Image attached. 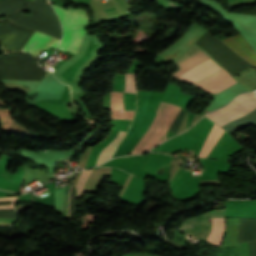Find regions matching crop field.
<instances>
[{
  "instance_id": "obj_1",
  "label": "crop field",
  "mask_w": 256,
  "mask_h": 256,
  "mask_svg": "<svg viewBox=\"0 0 256 256\" xmlns=\"http://www.w3.org/2000/svg\"><path fill=\"white\" fill-rule=\"evenodd\" d=\"M209 58L211 57L200 49L177 63L176 65L178 67V71L170 75L173 77H177ZM221 69L223 68L218 63H216L213 58H211L175 79H178L182 82L195 84L196 82L208 77L209 75ZM223 70L196 83L195 85L207 92L215 94L225 89L226 87L236 83L231 77L228 76L229 74L224 70L228 74L227 75Z\"/></svg>"
},
{
  "instance_id": "obj_2",
  "label": "crop field",
  "mask_w": 256,
  "mask_h": 256,
  "mask_svg": "<svg viewBox=\"0 0 256 256\" xmlns=\"http://www.w3.org/2000/svg\"><path fill=\"white\" fill-rule=\"evenodd\" d=\"M53 8L63 24V40L58 49L76 53L86 32L88 12L70 8L65 11L55 5Z\"/></svg>"
},
{
  "instance_id": "obj_3",
  "label": "crop field",
  "mask_w": 256,
  "mask_h": 256,
  "mask_svg": "<svg viewBox=\"0 0 256 256\" xmlns=\"http://www.w3.org/2000/svg\"><path fill=\"white\" fill-rule=\"evenodd\" d=\"M181 110V107L160 103L157 115L141 141L137 144L131 154L144 152L162 141L166 140V131Z\"/></svg>"
},
{
  "instance_id": "obj_4",
  "label": "crop field",
  "mask_w": 256,
  "mask_h": 256,
  "mask_svg": "<svg viewBox=\"0 0 256 256\" xmlns=\"http://www.w3.org/2000/svg\"><path fill=\"white\" fill-rule=\"evenodd\" d=\"M255 107V93L251 92L237 96L236 99L232 101L229 105L222 109L209 113L208 115H206V117L221 127L241 117Z\"/></svg>"
},
{
  "instance_id": "obj_5",
  "label": "crop field",
  "mask_w": 256,
  "mask_h": 256,
  "mask_svg": "<svg viewBox=\"0 0 256 256\" xmlns=\"http://www.w3.org/2000/svg\"><path fill=\"white\" fill-rule=\"evenodd\" d=\"M60 41L36 32L15 51H25L33 56L41 49L54 52Z\"/></svg>"
},
{
  "instance_id": "obj_6",
  "label": "crop field",
  "mask_w": 256,
  "mask_h": 256,
  "mask_svg": "<svg viewBox=\"0 0 256 256\" xmlns=\"http://www.w3.org/2000/svg\"><path fill=\"white\" fill-rule=\"evenodd\" d=\"M222 41H224L228 46H230L248 62L256 66V53L240 35L234 38L229 37Z\"/></svg>"
},
{
  "instance_id": "obj_7",
  "label": "crop field",
  "mask_w": 256,
  "mask_h": 256,
  "mask_svg": "<svg viewBox=\"0 0 256 256\" xmlns=\"http://www.w3.org/2000/svg\"><path fill=\"white\" fill-rule=\"evenodd\" d=\"M122 95L111 92L110 98V117L113 119H132L134 111H124Z\"/></svg>"
},
{
  "instance_id": "obj_8",
  "label": "crop field",
  "mask_w": 256,
  "mask_h": 256,
  "mask_svg": "<svg viewBox=\"0 0 256 256\" xmlns=\"http://www.w3.org/2000/svg\"><path fill=\"white\" fill-rule=\"evenodd\" d=\"M256 241V218H241L240 242Z\"/></svg>"
},
{
  "instance_id": "obj_9",
  "label": "crop field",
  "mask_w": 256,
  "mask_h": 256,
  "mask_svg": "<svg viewBox=\"0 0 256 256\" xmlns=\"http://www.w3.org/2000/svg\"><path fill=\"white\" fill-rule=\"evenodd\" d=\"M225 227V218H212V228L207 241L221 245Z\"/></svg>"
},
{
  "instance_id": "obj_10",
  "label": "crop field",
  "mask_w": 256,
  "mask_h": 256,
  "mask_svg": "<svg viewBox=\"0 0 256 256\" xmlns=\"http://www.w3.org/2000/svg\"><path fill=\"white\" fill-rule=\"evenodd\" d=\"M225 130L218 127L214 124L210 134L208 135L199 155L198 158H206L212 147L215 145L217 140L220 138V136L223 134Z\"/></svg>"
},
{
  "instance_id": "obj_11",
  "label": "crop field",
  "mask_w": 256,
  "mask_h": 256,
  "mask_svg": "<svg viewBox=\"0 0 256 256\" xmlns=\"http://www.w3.org/2000/svg\"><path fill=\"white\" fill-rule=\"evenodd\" d=\"M124 134H125V132L120 131L118 136L105 147V149L100 153V155L96 161V166L109 160L113 151L115 150V148L117 147V145L119 144L121 139L123 138Z\"/></svg>"
},
{
  "instance_id": "obj_12",
  "label": "crop field",
  "mask_w": 256,
  "mask_h": 256,
  "mask_svg": "<svg viewBox=\"0 0 256 256\" xmlns=\"http://www.w3.org/2000/svg\"><path fill=\"white\" fill-rule=\"evenodd\" d=\"M125 81H126V87L124 91L137 93L136 74H126Z\"/></svg>"
},
{
  "instance_id": "obj_13",
  "label": "crop field",
  "mask_w": 256,
  "mask_h": 256,
  "mask_svg": "<svg viewBox=\"0 0 256 256\" xmlns=\"http://www.w3.org/2000/svg\"><path fill=\"white\" fill-rule=\"evenodd\" d=\"M91 172H92V170L82 171V173L75 185V188L77 190V197L82 195L83 184H84L85 180L88 178V176L91 174Z\"/></svg>"
},
{
  "instance_id": "obj_14",
  "label": "crop field",
  "mask_w": 256,
  "mask_h": 256,
  "mask_svg": "<svg viewBox=\"0 0 256 256\" xmlns=\"http://www.w3.org/2000/svg\"><path fill=\"white\" fill-rule=\"evenodd\" d=\"M69 188H70L69 185H66V186H65L62 219H68V196H69ZM70 191H71V189H70Z\"/></svg>"
},
{
  "instance_id": "obj_15",
  "label": "crop field",
  "mask_w": 256,
  "mask_h": 256,
  "mask_svg": "<svg viewBox=\"0 0 256 256\" xmlns=\"http://www.w3.org/2000/svg\"><path fill=\"white\" fill-rule=\"evenodd\" d=\"M250 256H256V243H248Z\"/></svg>"
}]
</instances>
